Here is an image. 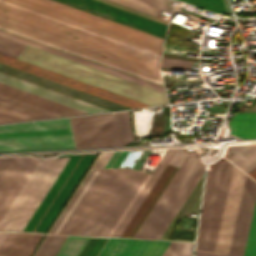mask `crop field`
<instances>
[{"instance_id": "obj_31", "label": "crop field", "mask_w": 256, "mask_h": 256, "mask_svg": "<svg viewBox=\"0 0 256 256\" xmlns=\"http://www.w3.org/2000/svg\"><path fill=\"white\" fill-rule=\"evenodd\" d=\"M243 256H256V204Z\"/></svg>"}, {"instance_id": "obj_2", "label": "crop field", "mask_w": 256, "mask_h": 256, "mask_svg": "<svg viewBox=\"0 0 256 256\" xmlns=\"http://www.w3.org/2000/svg\"><path fill=\"white\" fill-rule=\"evenodd\" d=\"M17 59L150 106L167 104L163 92L28 45Z\"/></svg>"}, {"instance_id": "obj_29", "label": "crop field", "mask_w": 256, "mask_h": 256, "mask_svg": "<svg viewBox=\"0 0 256 256\" xmlns=\"http://www.w3.org/2000/svg\"><path fill=\"white\" fill-rule=\"evenodd\" d=\"M108 238L89 237L78 256H97Z\"/></svg>"}, {"instance_id": "obj_36", "label": "crop field", "mask_w": 256, "mask_h": 256, "mask_svg": "<svg viewBox=\"0 0 256 256\" xmlns=\"http://www.w3.org/2000/svg\"><path fill=\"white\" fill-rule=\"evenodd\" d=\"M170 242L153 240L144 256H162Z\"/></svg>"}, {"instance_id": "obj_11", "label": "crop field", "mask_w": 256, "mask_h": 256, "mask_svg": "<svg viewBox=\"0 0 256 256\" xmlns=\"http://www.w3.org/2000/svg\"><path fill=\"white\" fill-rule=\"evenodd\" d=\"M149 177L132 171L91 235L111 236Z\"/></svg>"}, {"instance_id": "obj_21", "label": "crop field", "mask_w": 256, "mask_h": 256, "mask_svg": "<svg viewBox=\"0 0 256 256\" xmlns=\"http://www.w3.org/2000/svg\"><path fill=\"white\" fill-rule=\"evenodd\" d=\"M20 233H9L2 246L0 256H6ZM41 234L21 233L7 256H28Z\"/></svg>"}, {"instance_id": "obj_22", "label": "crop field", "mask_w": 256, "mask_h": 256, "mask_svg": "<svg viewBox=\"0 0 256 256\" xmlns=\"http://www.w3.org/2000/svg\"><path fill=\"white\" fill-rule=\"evenodd\" d=\"M256 147V145H254ZM252 145L234 146L224 156L252 178H256V148ZM256 180V179H255Z\"/></svg>"}, {"instance_id": "obj_28", "label": "crop field", "mask_w": 256, "mask_h": 256, "mask_svg": "<svg viewBox=\"0 0 256 256\" xmlns=\"http://www.w3.org/2000/svg\"><path fill=\"white\" fill-rule=\"evenodd\" d=\"M88 237L68 236L56 256H77Z\"/></svg>"}, {"instance_id": "obj_41", "label": "crop field", "mask_w": 256, "mask_h": 256, "mask_svg": "<svg viewBox=\"0 0 256 256\" xmlns=\"http://www.w3.org/2000/svg\"><path fill=\"white\" fill-rule=\"evenodd\" d=\"M160 68L190 69V67H187V66H179V65L164 64V63H161Z\"/></svg>"}, {"instance_id": "obj_42", "label": "crop field", "mask_w": 256, "mask_h": 256, "mask_svg": "<svg viewBox=\"0 0 256 256\" xmlns=\"http://www.w3.org/2000/svg\"><path fill=\"white\" fill-rule=\"evenodd\" d=\"M129 152V151H128ZM127 151L125 152H121V154L119 155V157L117 158V160L114 162V164L112 165L111 168H114V167H119L120 163L122 162L124 156L126 155Z\"/></svg>"}, {"instance_id": "obj_8", "label": "crop field", "mask_w": 256, "mask_h": 256, "mask_svg": "<svg viewBox=\"0 0 256 256\" xmlns=\"http://www.w3.org/2000/svg\"><path fill=\"white\" fill-rule=\"evenodd\" d=\"M232 168L221 158L208 171L196 250H213Z\"/></svg>"}, {"instance_id": "obj_24", "label": "crop field", "mask_w": 256, "mask_h": 256, "mask_svg": "<svg viewBox=\"0 0 256 256\" xmlns=\"http://www.w3.org/2000/svg\"><path fill=\"white\" fill-rule=\"evenodd\" d=\"M130 8L156 16L160 10L174 13L181 4L174 0H111Z\"/></svg>"}, {"instance_id": "obj_7", "label": "crop field", "mask_w": 256, "mask_h": 256, "mask_svg": "<svg viewBox=\"0 0 256 256\" xmlns=\"http://www.w3.org/2000/svg\"><path fill=\"white\" fill-rule=\"evenodd\" d=\"M130 172L102 170L61 234L90 235Z\"/></svg>"}, {"instance_id": "obj_33", "label": "crop field", "mask_w": 256, "mask_h": 256, "mask_svg": "<svg viewBox=\"0 0 256 256\" xmlns=\"http://www.w3.org/2000/svg\"><path fill=\"white\" fill-rule=\"evenodd\" d=\"M192 247L193 243L171 242L163 256H191Z\"/></svg>"}, {"instance_id": "obj_5", "label": "crop field", "mask_w": 256, "mask_h": 256, "mask_svg": "<svg viewBox=\"0 0 256 256\" xmlns=\"http://www.w3.org/2000/svg\"><path fill=\"white\" fill-rule=\"evenodd\" d=\"M69 158L40 159L0 221L1 231L21 232Z\"/></svg>"}, {"instance_id": "obj_26", "label": "crop field", "mask_w": 256, "mask_h": 256, "mask_svg": "<svg viewBox=\"0 0 256 256\" xmlns=\"http://www.w3.org/2000/svg\"><path fill=\"white\" fill-rule=\"evenodd\" d=\"M174 148H169L168 151L166 152V154L164 155V157L162 158V160L160 161V163L158 164V166L156 167L155 171L153 172V174L151 175V177L149 178V180L147 181V183L145 184V186L143 187V189L141 190V192L139 193V195L137 196V198L135 199V201L133 202V204L131 205L130 209L128 210V212L126 213V215L124 216V218L122 219V221L120 222V224L118 225V227L116 228V230L114 231V233L112 234V236L118 237V235L120 234V232L122 231V229L124 228L125 224L127 223V221L129 220V218L131 217V215L133 214V212L135 211V209L137 208V206L139 205V203L141 202L142 198L144 197V195L146 194V192L148 191V189L150 188V186L152 185V183L154 182V180L156 179V177L158 176L159 172L161 171V169L163 168V166L165 165V163L167 162L168 158L170 157L171 153L173 152ZM176 150V148H175ZM174 150V151H175ZM174 153V152H173ZM172 153V154H173ZM172 156V155H171ZM170 159V158H169ZM167 164V163H166ZM165 167V166H164ZM163 170V169H162ZM161 173V172H160ZM146 196V195H145ZM144 199V198H143ZM127 225V224H126Z\"/></svg>"}, {"instance_id": "obj_19", "label": "crop field", "mask_w": 256, "mask_h": 256, "mask_svg": "<svg viewBox=\"0 0 256 256\" xmlns=\"http://www.w3.org/2000/svg\"><path fill=\"white\" fill-rule=\"evenodd\" d=\"M0 94L18 99L20 101L35 105L37 107H40L64 116L85 114L84 112H81L79 110L61 105L59 103L24 92L22 90L7 86L2 83H0Z\"/></svg>"}, {"instance_id": "obj_35", "label": "crop field", "mask_w": 256, "mask_h": 256, "mask_svg": "<svg viewBox=\"0 0 256 256\" xmlns=\"http://www.w3.org/2000/svg\"><path fill=\"white\" fill-rule=\"evenodd\" d=\"M0 107L11 110V111H14V112H17V113H20V114H23L25 116H28V117H31V118H34V119L47 118V116L41 115L39 113L21 108L19 106H16V105H13V104L1 101V100H0Z\"/></svg>"}, {"instance_id": "obj_38", "label": "crop field", "mask_w": 256, "mask_h": 256, "mask_svg": "<svg viewBox=\"0 0 256 256\" xmlns=\"http://www.w3.org/2000/svg\"><path fill=\"white\" fill-rule=\"evenodd\" d=\"M31 118L0 108V123L11 121H22Z\"/></svg>"}, {"instance_id": "obj_6", "label": "crop field", "mask_w": 256, "mask_h": 256, "mask_svg": "<svg viewBox=\"0 0 256 256\" xmlns=\"http://www.w3.org/2000/svg\"><path fill=\"white\" fill-rule=\"evenodd\" d=\"M73 148L67 119L0 125V152Z\"/></svg>"}, {"instance_id": "obj_43", "label": "crop field", "mask_w": 256, "mask_h": 256, "mask_svg": "<svg viewBox=\"0 0 256 256\" xmlns=\"http://www.w3.org/2000/svg\"><path fill=\"white\" fill-rule=\"evenodd\" d=\"M148 150L143 151V153L141 154V156L139 157V159L137 160V162L135 163V165L133 166L132 169L137 170L138 166L140 165V163L142 162L143 158L145 157V155L147 154Z\"/></svg>"}, {"instance_id": "obj_37", "label": "crop field", "mask_w": 256, "mask_h": 256, "mask_svg": "<svg viewBox=\"0 0 256 256\" xmlns=\"http://www.w3.org/2000/svg\"><path fill=\"white\" fill-rule=\"evenodd\" d=\"M0 99H1V100H4V101H7V102H10V103H13V104H16V105H19V106H21V107H24V108L33 110V111H36V112H39V113H41V114H44V115H47V116H50V117L60 116V115H57V114H55V113H52V112H49V111H46V110L37 108V107H35V106H32V105H29V104L20 102V101H18V100H15V99H12V98L3 96V95H0Z\"/></svg>"}, {"instance_id": "obj_16", "label": "crop field", "mask_w": 256, "mask_h": 256, "mask_svg": "<svg viewBox=\"0 0 256 256\" xmlns=\"http://www.w3.org/2000/svg\"><path fill=\"white\" fill-rule=\"evenodd\" d=\"M256 199V182L246 177L229 256H242Z\"/></svg>"}, {"instance_id": "obj_25", "label": "crop field", "mask_w": 256, "mask_h": 256, "mask_svg": "<svg viewBox=\"0 0 256 256\" xmlns=\"http://www.w3.org/2000/svg\"><path fill=\"white\" fill-rule=\"evenodd\" d=\"M229 125L231 132L228 137L230 138H256V113L235 114Z\"/></svg>"}, {"instance_id": "obj_13", "label": "crop field", "mask_w": 256, "mask_h": 256, "mask_svg": "<svg viewBox=\"0 0 256 256\" xmlns=\"http://www.w3.org/2000/svg\"><path fill=\"white\" fill-rule=\"evenodd\" d=\"M246 174L233 168L213 252L228 253Z\"/></svg>"}, {"instance_id": "obj_40", "label": "crop field", "mask_w": 256, "mask_h": 256, "mask_svg": "<svg viewBox=\"0 0 256 256\" xmlns=\"http://www.w3.org/2000/svg\"><path fill=\"white\" fill-rule=\"evenodd\" d=\"M195 256H227V254L196 251Z\"/></svg>"}, {"instance_id": "obj_18", "label": "crop field", "mask_w": 256, "mask_h": 256, "mask_svg": "<svg viewBox=\"0 0 256 256\" xmlns=\"http://www.w3.org/2000/svg\"><path fill=\"white\" fill-rule=\"evenodd\" d=\"M101 170H88L48 233L60 234Z\"/></svg>"}, {"instance_id": "obj_12", "label": "crop field", "mask_w": 256, "mask_h": 256, "mask_svg": "<svg viewBox=\"0 0 256 256\" xmlns=\"http://www.w3.org/2000/svg\"><path fill=\"white\" fill-rule=\"evenodd\" d=\"M38 161L31 156L0 158V219Z\"/></svg>"}, {"instance_id": "obj_23", "label": "crop field", "mask_w": 256, "mask_h": 256, "mask_svg": "<svg viewBox=\"0 0 256 256\" xmlns=\"http://www.w3.org/2000/svg\"><path fill=\"white\" fill-rule=\"evenodd\" d=\"M0 34H1V35H4V36H7V37H9V38H12V39H15V40H18V41H21V42L30 44V45H32V46H35V47H38V48H41V49H44V50H47V51L56 53V54H58V55H61V56H64V57H67V58H70V59L79 61V62H81V63H84V64H87V65H90V66H93V67H96V68L105 70V71H107V72H110V73H113V74L122 76V77H124V78L133 80V81H135V82H138V83L147 85V86H149V87H152V88H155V89H158V90L164 92V89H163L162 86L153 84V83H151V82H148V81H145V80H142V79H139V78H136V77L127 75V74H125V73H122V72H119V71H116V70H113V69L104 67V66H102V65H99V64H96V63H93V62H90V61L81 59V58H79V57H76V56H73V55H70V54H67V53L58 51V50H55V49H53V48H50V47H47V46H44V45H41V44L32 42V41H30V40H27V39H24V38H21V37H18V36L9 34V33H7V32L1 31V30H0Z\"/></svg>"}, {"instance_id": "obj_39", "label": "crop field", "mask_w": 256, "mask_h": 256, "mask_svg": "<svg viewBox=\"0 0 256 256\" xmlns=\"http://www.w3.org/2000/svg\"><path fill=\"white\" fill-rule=\"evenodd\" d=\"M164 63L180 64L191 66L192 61L162 58Z\"/></svg>"}, {"instance_id": "obj_10", "label": "crop field", "mask_w": 256, "mask_h": 256, "mask_svg": "<svg viewBox=\"0 0 256 256\" xmlns=\"http://www.w3.org/2000/svg\"><path fill=\"white\" fill-rule=\"evenodd\" d=\"M74 148L118 146L113 114L69 118Z\"/></svg>"}, {"instance_id": "obj_14", "label": "crop field", "mask_w": 256, "mask_h": 256, "mask_svg": "<svg viewBox=\"0 0 256 256\" xmlns=\"http://www.w3.org/2000/svg\"><path fill=\"white\" fill-rule=\"evenodd\" d=\"M0 62L8 64V65H11V66H14V67H17L19 69H22V70H25V71H28V72H31V73H34V74H37L39 76H42V77H45V78L57 81L59 83H62V84H65V85H68V86L80 89L82 91H85V92H88V93L100 96L102 98H105V99H108V100L120 103L122 105L131 107V108L148 107L147 105L141 104L139 102H136V101H133V100L121 97L119 95H116V94H113V93L101 90L99 88H96V87H93V86L81 83L79 81H76V80H73V79L61 76L59 74H56V73H53V72L41 69L39 67H36V66L30 65V64L18 61L16 59H13V58L1 55V54H0Z\"/></svg>"}, {"instance_id": "obj_1", "label": "crop field", "mask_w": 256, "mask_h": 256, "mask_svg": "<svg viewBox=\"0 0 256 256\" xmlns=\"http://www.w3.org/2000/svg\"><path fill=\"white\" fill-rule=\"evenodd\" d=\"M0 14L158 69L163 38L54 0H0Z\"/></svg>"}, {"instance_id": "obj_4", "label": "crop field", "mask_w": 256, "mask_h": 256, "mask_svg": "<svg viewBox=\"0 0 256 256\" xmlns=\"http://www.w3.org/2000/svg\"><path fill=\"white\" fill-rule=\"evenodd\" d=\"M205 160L206 158L199 157L195 151L191 150V152L189 153V155L179 168L178 172L176 173V175L174 176V178L172 179V181L170 182V184L168 185V187L166 188V190L164 191V193L162 194V196L160 197V199L150 212L149 216L147 217V219L145 220V222L135 235V238L158 239V237L164 230L165 226L167 225V223L169 222V220L179 207L180 203L182 202V200L184 199V197L186 196V194L196 181L201 171L203 170ZM202 173L200 174V176L202 175ZM200 176L198 177V179L200 178ZM191 190L189 191V193L191 192ZM189 193L187 194V196L189 195ZM187 196L185 197V199L187 198ZM185 199L183 200V202L185 201ZM170 222L168 223V225L170 224ZM168 225L166 226V228L168 227Z\"/></svg>"}, {"instance_id": "obj_27", "label": "crop field", "mask_w": 256, "mask_h": 256, "mask_svg": "<svg viewBox=\"0 0 256 256\" xmlns=\"http://www.w3.org/2000/svg\"><path fill=\"white\" fill-rule=\"evenodd\" d=\"M119 145L133 141L129 111L114 113Z\"/></svg>"}, {"instance_id": "obj_44", "label": "crop field", "mask_w": 256, "mask_h": 256, "mask_svg": "<svg viewBox=\"0 0 256 256\" xmlns=\"http://www.w3.org/2000/svg\"><path fill=\"white\" fill-rule=\"evenodd\" d=\"M7 235H8V233H1L0 232V246H1L2 242L4 241V239L6 238Z\"/></svg>"}, {"instance_id": "obj_17", "label": "crop field", "mask_w": 256, "mask_h": 256, "mask_svg": "<svg viewBox=\"0 0 256 256\" xmlns=\"http://www.w3.org/2000/svg\"><path fill=\"white\" fill-rule=\"evenodd\" d=\"M0 82L5 83L7 85L22 89L24 91L42 96L44 98L59 102L61 104L79 109L81 111L87 112V113H96V112H106L107 110H104L102 108L84 103L82 101L64 96L62 94L44 89L42 87L24 82L22 80L4 75L0 73Z\"/></svg>"}, {"instance_id": "obj_20", "label": "crop field", "mask_w": 256, "mask_h": 256, "mask_svg": "<svg viewBox=\"0 0 256 256\" xmlns=\"http://www.w3.org/2000/svg\"><path fill=\"white\" fill-rule=\"evenodd\" d=\"M152 240L109 238L98 256H143Z\"/></svg>"}, {"instance_id": "obj_3", "label": "crop field", "mask_w": 256, "mask_h": 256, "mask_svg": "<svg viewBox=\"0 0 256 256\" xmlns=\"http://www.w3.org/2000/svg\"><path fill=\"white\" fill-rule=\"evenodd\" d=\"M0 28L162 85L157 69L0 15Z\"/></svg>"}, {"instance_id": "obj_34", "label": "crop field", "mask_w": 256, "mask_h": 256, "mask_svg": "<svg viewBox=\"0 0 256 256\" xmlns=\"http://www.w3.org/2000/svg\"><path fill=\"white\" fill-rule=\"evenodd\" d=\"M119 152L99 153L91 168H109Z\"/></svg>"}, {"instance_id": "obj_30", "label": "crop field", "mask_w": 256, "mask_h": 256, "mask_svg": "<svg viewBox=\"0 0 256 256\" xmlns=\"http://www.w3.org/2000/svg\"><path fill=\"white\" fill-rule=\"evenodd\" d=\"M214 13H226L222 0H180Z\"/></svg>"}, {"instance_id": "obj_15", "label": "crop field", "mask_w": 256, "mask_h": 256, "mask_svg": "<svg viewBox=\"0 0 256 256\" xmlns=\"http://www.w3.org/2000/svg\"><path fill=\"white\" fill-rule=\"evenodd\" d=\"M188 149L187 148H177L171 159L169 160L168 163L174 164V165H179L180 162L182 161L183 157L187 153ZM167 164L150 191L148 192L147 196L129 221L128 225L120 235V237H132L152 205L154 204L155 200L177 169V166Z\"/></svg>"}, {"instance_id": "obj_32", "label": "crop field", "mask_w": 256, "mask_h": 256, "mask_svg": "<svg viewBox=\"0 0 256 256\" xmlns=\"http://www.w3.org/2000/svg\"><path fill=\"white\" fill-rule=\"evenodd\" d=\"M25 44L0 36V53L16 57Z\"/></svg>"}, {"instance_id": "obj_9", "label": "crop field", "mask_w": 256, "mask_h": 256, "mask_svg": "<svg viewBox=\"0 0 256 256\" xmlns=\"http://www.w3.org/2000/svg\"><path fill=\"white\" fill-rule=\"evenodd\" d=\"M94 154L73 153L23 232L44 233Z\"/></svg>"}]
</instances>
